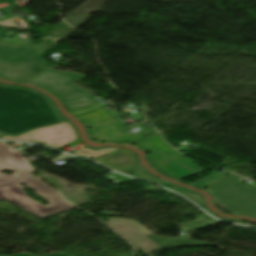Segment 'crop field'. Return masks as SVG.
I'll return each instance as SVG.
<instances>
[{
	"instance_id": "1",
	"label": "crop field",
	"mask_w": 256,
	"mask_h": 256,
	"mask_svg": "<svg viewBox=\"0 0 256 256\" xmlns=\"http://www.w3.org/2000/svg\"><path fill=\"white\" fill-rule=\"evenodd\" d=\"M46 66L33 44L13 48L4 41L0 42V76L49 89L61 97L70 110L96 104L88 92L72 83L83 75L50 70Z\"/></svg>"
},
{
	"instance_id": "2",
	"label": "crop field",
	"mask_w": 256,
	"mask_h": 256,
	"mask_svg": "<svg viewBox=\"0 0 256 256\" xmlns=\"http://www.w3.org/2000/svg\"><path fill=\"white\" fill-rule=\"evenodd\" d=\"M59 121L62 119L45 96L0 85V133L17 135Z\"/></svg>"
},
{
	"instance_id": "3",
	"label": "crop field",
	"mask_w": 256,
	"mask_h": 256,
	"mask_svg": "<svg viewBox=\"0 0 256 256\" xmlns=\"http://www.w3.org/2000/svg\"><path fill=\"white\" fill-rule=\"evenodd\" d=\"M130 144L146 150L154 166L163 174L176 180L202 172L190 160L175 152L158 134Z\"/></svg>"
},
{
	"instance_id": "4",
	"label": "crop field",
	"mask_w": 256,
	"mask_h": 256,
	"mask_svg": "<svg viewBox=\"0 0 256 256\" xmlns=\"http://www.w3.org/2000/svg\"><path fill=\"white\" fill-rule=\"evenodd\" d=\"M239 178L230 174L207 187L218 206L234 214L256 217V187L236 181Z\"/></svg>"
},
{
	"instance_id": "5",
	"label": "crop field",
	"mask_w": 256,
	"mask_h": 256,
	"mask_svg": "<svg viewBox=\"0 0 256 256\" xmlns=\"http://www.w3.org/2000/svg\"><path fill=\"white\" fill-rule=\"evenodd\" d=\"M22 183V182H20ZM29 187L42 195L52 204L47 206H40L34 201L23 195L24 191L21 186L13 184L10 186L0 188V199L4 198L13 205L41 218L54 213H58L67 209H71L74 206L68 204L65 200L61 199L58 193L42 182L40 179L35 178L28 181H24Z\"/></svg>"
},
{
	"instance_id": "6",
	"label": "crop field",
	"mask_w": 256,
	"mask_h": 256,
	"mask_svg": "<svg viewBox=\"0 0 256 256\" xmlns=\"http://www.w3.org/2000/svg\"><path fill=\"white\" fill-rule=\"evenodd\" d=\"M74 117L79 119L89 128L90 137L97 142L128 143L149 134L156 133L155 130L150 129L141 123L137 126L143 130L139 132L137 136L125 134L122 132V130L125 129V126L103 109L87 112Z\"/></svg>"
},
{
	"instance_id": "7",
	"label": "crop field",
	"mask_w": 256,
	"mask_h": 256,
	"mask_svg": "<svg viewBox=\"0 0 256 256\" xmlns=\"http://www.w3.org/2000/svg\"><path fill=\"white\" fill-rule=\"evenodd\" d=\"M97 161L102 162L106 166L115 169L117 171H120L122 173L124 172H134L133 176L145 180L152 181L157 184L165 185V186H170L171 189L183 194L190 200L194 201L200 206L205 205L204 200L200 197L199 194L197 193H192V192H186L182 189L176 188L172 185H169L167 183H164L162 181L154 179L151 175H149L147 172L143 170V168L135 162V156L133 153H131L128 150H120L118 152L103 156L101 158L95 159Z\"/></svg>"
},
{
	"instance_id": "8",
	"label": "crop field",
	"mask_w": 256,
	"mask_h": 256,
	"mask_svg": "<svg viewBox=\"0 0 256 256\" xmlns=\"http://www.w3.org/2000/svg\"><path fill=\"white\" fill-rule=\"evenodd\" d=\"M1 138L31 142L43 141L46 143V145L57 149L78 139L71 124L67 121L56 125L35 129L18 137L6 135L2 136Z\"/></svg>"
},
{
	"instance_id": "9",
	"label": "crop field",
	"mask_w": 256,
	"mask_h": 256,
	"mask_svg": "<svg viewBox=\"0 0 256 256\" xmlns=\"http://www.w3.org/2000/svg\"><path fill=\"white\" fill-rule=\"evenodd\" d=\"M106 224L113 230L124 236L143 253H151L162 249L159 245L149 239L146 235L151 234L149 230L133 220L107 218Z\"/></svg>"
},
{
	"instance_id": "10",
	"label": "crop field",
	"mask_w": 256,
	"mask_h": 256,
	"mask_svg": "<svg viewBox=\"0 0 256 256\" xmlns=\"http://www.w3.org/2000/svg\"><path fill=\"white\" fill-rule=\"evenodd\" d=\"M10 170L13 175L0 173V187L35 178L17 159L0 144V171Z\"/></svg>"
},
{
	"instance_id": "11",
	"label": "crop field",
	"mask_w": 256,
	"mask_h": 256,
	"mask_svg": "<svg viewBox=\"0 0 256 256\" xmlns=\"http://www.w3.org/2000/svg\"><path fill=\"white\" fill-rule=\"evenodd\" d=\"M115 150H117V148H104V149L94 151L90 148L85 147V148L75 152L74 154L84 156V157H87V158H95V157H99L101 155H104L106 153H109V152H112V151H115Z\"/></svg>"
},
{
	"instance_id": "12",
	"label": "crop field",
	"mask_w": 256,
	"mask_h": 256,
	"mask_svg": "<svg viewBox=\"0 0 256 256\" xmlns=\"http://www.w3.org/2000/svg\"><path fill=\"white\" fill-rule=\"evenodd\" d=\"M9 152H11L25 167H27L32 173L34 168L31 167L29 161L25 159L22 152L14 149L12 146L8 145L7 142H0Z\"/></svg>"
},
{
	"instance_id": "13",
	"label": "crop field",
	"mask_w": 256,
	"mask_h": 256,
	"mask_svg": "<svg viewBox=\"0 0 256 256\" xmlns=\"http://www.w3.org/2000/svg\"><path fill=\"white\" fill-rule=\"evenodd\" d=\"M224 176H225V175L222 174V173L215 172V173H213V174H211V175L205 177L204 179H202V180H200V181L194 183L193 185H196V186H198V187H200V188H204V187H206L207 185H209V184L215 182L216 180H218V179H220V178H222V177H224Z\"/></svg>"
},
{
	"instance_id": "14",
	"label": "crop field",
	"mask_w": 256,
	"mask_h": 256,
	"mask_svg": "<svg viewBox=\"0 0 256 256\" xmlns=\"http://www.w3.org/2000/svg\"><path fill=\"white\" fill-rule=\"evenodd\" d=\"M12 256H34V255H29V254H26V253H21V254H16V255H12ZM47 256H67V255H64L62 253H53V254H50V255H47Z\"/></svg>"
},
{
	"instance_id": "15",
	"label": "crop field",
	"mask_w": 256,
	"mask_h": 256,
	"mask_svg": "<svg viewBox=\"0 0 256 256\" xmlns=\"http://www.w3.org/2000/svg\"><path fill=\"white\" fill-rule=\"evenodd\" d=\"M123 256H132V252L129 253V254L123 255Z\"/></svg>"
},
{
	"instance_id": "16",
	"label": "crop field",
	"mask_w": 256,
	"mask_h": 256,
	"mask_svg": "<svg viewBox=\"0 0 256 256\" xmlns=\"http://www.w3.org/2000/svg\"><path fill=\"white\" fill-rule=\"evenodd\" d=\"M147 256H151V254H148Z\"/></svg>"
}]
</instances>
